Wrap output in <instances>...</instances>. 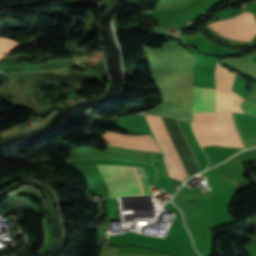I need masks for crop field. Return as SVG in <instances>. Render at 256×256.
Masks as SVG:
<instances>
[{
    "label": "crop field",
    "mask_w": 256,
    "mask_h": 256,
    "mask_svg": "<svg viewBox=\"0 0 256 256\" xmlns=\"http://www.w3.org/2000/svg\"><path fill=\"white\" fill-rule=\"evenodd\" d=\"M20 43L8 39V38H1L0 37V58L9 52H11L13 49H15Z\"/></svg>",
    "instance_id": "obj_7"
},
{
    "label": "crop field",
    "mask_w": 256,
    "mask_h": 256,
    "mask_svg": "<svg viewBox=\"0 0 256 256\" xmlns=\"http://www.w3.org/2000/svg\"><path fill=\"white\" fill-rule=\"evenodd\" d=\"M235 75L227 69L221 68L217 61L215 69L216 112H231L230 99L232 102V112H243L239 105L245 99L233 92L231 95Z\"/></svg>",
    "instance_id": "obj_3"
},
{
    "label": "crop field",
    "mask_w": 256,
    "mask_h": 256,
    "mask_svg": "<svg viewBox=\"0 0 256 256\" xmlns=\"http://www.w3.org/2000/svg\"><path fill=\"white\" fill-rule=\"evenodd\" d=\"M145 116H146V118H147V120H148V122H149V124L151 126V129H152V131H153V133H154V135H155V137L157 139L158 144L160 145V147H161V149L163 151L164 162H165L167 171L169 173V176L174 178V179L182 181V179H181V177H180V175H179V173H178V171H177V169H176V167H175V165H174V163L172 161V158H171V156H170V154H169V152H168V150H167V148H166V146H165V144H164V142H163V140L161 138V135H160V133H159V131H158V129H157V127H156L152 117L148 116V115H145Z\"/></svg>",
    "instance_id": "obj_6"
},
{
    "label": "crop field",
    "mask_w": 256,
    "mask_h": 256,
    "mask_svg": "<svg viewBox=\"0 0 256 256\" xmlns=\"http://www.w3.org/2000/svg\"><path fill=\"white\" fill-rule=\"evenodd\" d=\"M217 32L227 38L250 41L256 33V19L252 13L244 12L234 18L210 24Z\"/></svg>",
    "instance_id": "obj_4"
},
{
    "label": "crop field",
    "mask_w": 256,
    "mask_h": 256,
    "mask_svg": "<svg viewBox=\"0 0 256 256\" xmlns=\"http://www.w3.org/2000/svg\"><path fill=\"white\" fill-rule=\"evenodd\" d=\"M101 137L106 140L110 145L117 148L162 153L156 142L150 137V135L129 136L107 131Z\"/></svg>",
    "instance_id": "obj_5"
},
{
    "label": "crop field",
    "mask_w": 256,
    "mask_h": 256,
    "mask_svg": "<svg viewBox=\"0 0 256 256\" xmlns=\"http://www.w3.org/2000/svg\"><path fill=\"white\" fill-rule=\"evenodd\" d=\"M98 173L104 180L107 195L111 197H124L125 196H139V190L137 186L136 179L140 181L141 193L142 195H150L146 183V179L143 174L139 171L138 168L131 167L138 178L134 177L129 167H121V166H112L113 170L116 172L118 177L120 178L124 190H122L121 182L117 175L114 173L110 165H94ZM138 181V185H139ZM139 187V189H140Z\"/></svg>",
    "instance_id": "obj_2"
},
{
    "label": "crop field",
    "mask_w": 256,
    "mask_h": 256,
    "mask_svg": "<svg viewBox=\"0 0 256 256\" xmlns=\"http://www.w3.org/2000/svg\"><path fill=\"white\" fill-rule=\"evenodd\" d=\"M215 89L194 87V119L192 128L202 147L223 146L214 126Z\"/></svg>",
    "instance_id": "obj_1"
}]
</instances>
